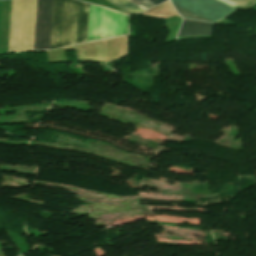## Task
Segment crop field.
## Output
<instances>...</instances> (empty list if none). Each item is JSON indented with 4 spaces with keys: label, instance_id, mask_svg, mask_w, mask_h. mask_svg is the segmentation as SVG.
I'll use <instances>...</instances> for the list:
<instances>
[{
    "label": "crop field",
    "instance_id": "crop-field-10",
    "mask_svg": "<svg viewBox=\"0 0 256 256\" xmlns=\"http://www.w3.org/2000/svg\"><path fill=\"white\" fill-rule=\"evenodd\" d=\"M24 256V255H23Z\"/></svg>",
    "mask_w": 256,
    "mask_h": 256
},
{
    "label": "crop field",
    "instance_id": "crop-field-6",
    "mask_svg": "<svg viewBox=\"0 0 256 256\" xmlns=\"http://www.w3.org/2000/svg\"><path fill=\"white\" fill-rule=\"evenodd\" d=\"M108 1L130 14L143 12L141 9L137 8L138 6L136 7L126 0H108Z\"/></svg>",
    "mask_w": 256,
    "mask_h": 256
},
{
    "label": "crop field",
    "instance_id": "crop-field-3",
    "mask_svg": "<svg viewBox=\"0 0 256 256\" xmlns=\"http://www.w3.org/2000/svg\"><path fill=\"white\" fill-rule=\"evenodd\" d=\"M183 18L216 22L235 9L217 0H171Z\"/></svg>",
    "mask_w": 256,
    "mask_h": 256
},
{
    "label": "crop field",
    "instance_id": "crop-field-8",
    "mask_svg": "<svg viewBox=\"0 0 256 256\" xmlns=\"http://www.w3.org/2000/svg\"><path fill=\"white\" fill-rule=\"evenodd\" d=\"M128 1H130L134 5L138 6L139 8H141L144 11L156 6V5L152 4L151 2H149L148 0H128Z\"/></svg>",
    "mask_w": 256,
    "mask_h": 256
},
{
    "label": "crop field",
    "instance_id": "crop-field-5",
    "mask_svg": "<svg viewBox=\"0 0 256 256\" xmlns=\"http://www.w3.org/2000/svg\"><path fill=\"white\" fill-rule=\"evenodd\" d=\"M213 25L211 23L183 20L178 37L211 35Z\"/></svg>",
    "mask_w": 256,
    "mask_h": 256
},
{
    "label": "crop field",
    "instance_id": "crop-field-7",
    "mask_svg": "<svg viewBox=\"0 0 256 256\" xmlns=\"http://www.w3.org/2000/svg\"><path fill=\"white\" fill-rule=\"evenodd\" d=\"M235 9H246L251 6L256 0H219Z\"/></svg>",
    "mask_w": 256,
    "mask_h": 256
},
{
    "label": "crop field",
    "instance_id": "crop-field-1",
    "mask_svg": "<svg viewBox=\"0 0 256 256\" xmlns=\"http://www.w3.org/2000/svg\"><path fill=\"white\" fill-rule=\"evenodd\" d=\"M89 4L54 0L50 49L86 42ZM129 16L90 4L87 42L128 34Z\"/></svg>",
    "mask_w": 256,
    "mask_h": 256
},
{
    "label": "crop field",
    "instance_id": "crop-field-9",
    "mask_svg": "<svg viewBox=\"0 0 256 256\" xmlns=\"http://www.w3.org/2000/svg\"><path fill=\"white\" fill-rule=\"evenodd\" d=\"M149 1H151L152 3L158 5V4H160V3H162V2H164L166 0H149Z\"/></svg>",
    "mask_w": 256,
    "mask_h": 256
},
{
    "label": "crop field",
    "instance_id": "crop-field-2",
    "mask_svg": "<svg viewBox=\"0 0 256 256\" xmlns=\"http://www.w3.org/2000/svg\"><path fill=\"white\" fill-rule=\"evenodd\" d=\"M37 0H12L8 53L33 50Z\"/></svg>",
    "mask_w": 256,
    "mask_h": 256
},
{
    "label": "crop field",
    "instance_id": "crop-field-4",
    "mask_svg": "<svg viewBox=\"0 0 256 256\" xmlns=\"http://www.w3.org/2000/svg\"><path fill=\"white\" fill-rule=\"evenodd\" d=\"M53 0H38L34 50H48Z\"/></svg>",
    "mask_w": 256,
    "mask_h": 256
}]
</instances>
